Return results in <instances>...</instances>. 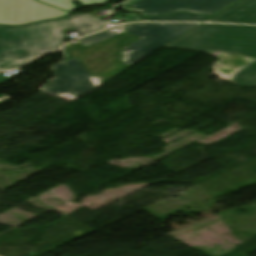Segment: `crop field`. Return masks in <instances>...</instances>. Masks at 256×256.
Wrapping results in <instances>:
<instances>
[{"instance_id": "crop-field-1", "label": "crop field", "mask_w": 256, "mask_h": 256, "mask_svg": "<svg viewBox=\"0 0 256 256\" xmlns=\"http://www.w3.org/2000/svg\"><path fill=\"white\" fill-rule=\"evenodd\" d=\"M166 46L256 59V26L202 24ZM231 80L242 86L256 84V61L236 71Z\"/></svg>"}, {"instance_id": "crop-field-2", "label": "crop field", "mask_w": 256, "mask_h": 256, "mask_svg": "<svg viewBox=\"0 0 256 256\" xmlns=\"http://www.w3.org/2000/svg\"><path fill=\"white\" fill-rule=\"evenodd\" d=\"M62 45L49 21L22 28L0 27V71L19 67Z\"/></svg>"}, {"instance_id": "crop-field-3", "label": "crop field", "mask_w": 256, "mask_h": 256, "mask_svg": "<svg viewBox=\"0 0 256 256\" xmlns=\"http://www.w3.org/2000/svg\"><path fill=\"white\" fill-rule=\"evenodd\" d=\"M116 30L118 31H112L109 34L112 36L111 39L105 40L91 47H85L80 43H71L63 48L68 55L67 60L75 56L79 57L85 67L93 75V82L95 86L100 85L128 67L121 63L127 59L126 54L130 52L126 46L141 39L130 35L125 30L124 26H117ZM122 31H124V33L116 37ZM131 36L132 38L128 41L121 45L118 44L127 40Z\"/></svg>"}, {"instance_id": "crop-field-4", "label": "crop field", "mask_w": 256, "mask_h": 256, "mask_svg": "<svg viewBox=\"0 0 256 256\" xmlns=\"http://www.w3.org/2000/svg\"><path fill=\"white\" fill-rule=\"evenodd\" d=\"M200 24H135L125 26L141 40L128 46L132 52L122 63L130 66Z\"/></svg>"}, {"instance_id": "crop-field-5", "label": "crop field", "mask_w": 256, "mask_h": 256, "mask_svg": "<svg viewBox=\"0 0 256 256\" xmlns=\"http://www.w3.org/2000/svg\"><path fill=\"white\" fill-rule=\"evenodd\" d=\"M238 0H140L126 12L142 16L168 15L178 11L213 16Z\"/></svg>"}, {"instance_id": "crop-field-6", "label": "crop field", "mask_w": 256, "mask_h": 256, "mask_svg": "<svg viewBox=\"0 0 256 256\" xmlns=\"http://www.w3.org/2000/svg\"><path fill=\"white\" fill-rule=\"evenodd\" d=\"M56 78L50 80L41 91L59 95L67 93L78 97L95 88L92 75L78 57L51 67Z\"/></svg>"}, {"instance_id": "crop-field-7", "label": "crop field", "mask_w": 256, "mask_h": 256, "mask_svg": "<svg viewBox=\"0 0 256 256\" xmlns=\"http://www.w3.org/2000/svg\"><path fill=\"white\" fill-rule=\"evenodd\" d=\"M70 13L34 0H0V24L22 26L65 17Z\"/></svg>"}, {"instance_id": "crop-field-8", "label": "crop field", "mask_w": 256, "mask_h": 256, "mask_svg": "<svg viewBox=\"0 0 256 256\" xmlns=\"http://www.w3.org/2000/svg\"><path fill=\"white\" fill-rule=\"evenodd\" d=\"M58 38L66 39L63 32L67 28L76 27L82 36L106 28L107 23L101 18L93 17L90 14L72 15L68 19L50 21Z\"/></svg>"}, {"instance_id": "crop-field-9", "label": "crop field", "mask_w": 256, "mask_h": 256, "mask_svg": "<svg viewBox=\"0 0 256 256\" xmlns=\"http://www.w3.org/2000/svg\"><path fill=\"white\" fill-rule=\"evenodd\" d=\"M208 21L256 24V0H242Z\"/></svg>"}, {"instance_id": "crop-field-10", "label": "crop field", "mask_w": 256, "mask_h": 256, "mask_svg": "<svg viewBox=\"0 0 256 256\" xmlns=\"http://www.w3.org/2000/svg\"><path fill=\"white\" fill-rule=\"evenodd\" d=\"M208 54H211L213 56H216L222 59L231 76L236 70L244 67L245 65L255 60V59H251V58L239 56V55L221 54V53H208Z\"/></svg>"}, {"instance_id": "crop-field-11", "label": "crop field", "mask_w": 256, "mask_h": 256, "mask_svg": "<svg viewBox=\"0 0 256 256\" xmlns=\"http://www.w3.org/2000/svg\"><path fill=\"white\" fill-rule=\"evenodd\" d=\"M39 1H42L44 3L53 5L55 7L64 9V10L69 11V12H72V11L76 10V8L70 2V1H74V0H39ZM79 1L85 7L107 3V0H79Z\"/></svg>"}, {"instance_id": "crop-field-12", "label": "crop field", "mask_w": 256, "mask_h": 256, "mask_svg": "<svg viewBox=\"0 0 256 256\" xmlns=\"http://www.w3.org/2000/svg\"><path fill=\"white\" fill-rule=\"evenodd\" d=\"M208 17L178 13L169 17L144 18V21H198L203 22Z\"/></svg>"}, {"instance_id": "crop-field-13", "label": "crop field", "mask_w": 256, "mask_h": 256, "mask_svg": "<svg viewBox=\"0 0 256 256\" xmlns=\"http://www.w3.org/2000/svg\"><path fill=\"white\" fill-rule=\"evenodd\" d=\"M115 28V27H114ZM114 28H111L105 32H102V33H99V34H96V35H93V36H90V37H87V38H83V39H80L78 40L80 43H82L83 45L85 46H91L93 44H96L100 41H103L105 39H108V38H111V36H109L108 34L114 29Z\"/></svg>"}, {"instance_id": "crop-field-14", "label": "crop field", "mask_w": 256, "mask_h": 256, "mask_svg": "<svg viewBox=\"0 0 256 256\" xmlns=\"http://www.w3.org/2000/svg\"><path fill=\"white\" fill-rule=\"evenodd\" d=\"M136 1H138V0H127V1H125V2H123V3H121V4H119V5H121V6L125 7V8H127V7H129L130 5H132L133 3H135Z\"/></svg>"}]
</instances>
